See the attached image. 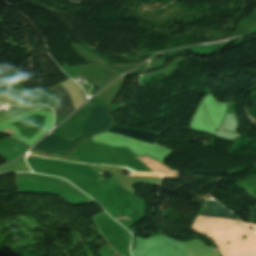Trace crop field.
Segmentation results:
<instances>
[{
    "mask_svg": "<svg viewBox=\"0 0 256 256\" xmlns=\"http://www.w3.org/2000/svg\"><path fill=\"white\" fill-rule=\"evenodd\" d=\"M93 107L94 109H92L81 129L84 133L83 136L68 143L55 135L50 134L34 147L36 149H42L48 154L52 152L65 154V152H68L78 141L91 134L105 130L111 123V119L107 114V105H94Z\"/></svg>",
    "mask_w": 256,
    "mask_h": 256,
    "instance_id": "obj_1",
    "label": "crop field"
},
{
    "mask_svg": "<svg viewBox=\"0 0 256 256\" xmlns=\"http://www.w3.org/2000/svg\"><path fill=\"white\" fill-rule=\"evenodd\" d=\"M60 85L68 91L76 109L85 102L81 88L72 80L64 82ZM60 85L49 89V91L57 94L59 97V102L55 106V113L57 118L75 110L67 91Z\"/></svg>",
    "mask_w": 256,
    "mask_h": 256,
    "instance_id": "obj_2",
    "label": "crop field"
},
{
    "mask_svg": "<svg viewBox=\"0 0 256 256\" xmlns=\"http://www.w3.org/2000/svg\"><path fill=\"white\" fill-rule=\"evenodd\" d=\"M109 132L121 134L124 136H128L130 138L143 140L149 143L154 144L157 138L160 136L159 134L153 132H146L140 130L126 129L114 126Z\"/></svg>",
    "mask_w": 256,
    "mask_h": 256,
    "instance_id": "obj_3",
    "label": "crop field"
},
{
    "mask_svg": "<svg viewBox=\"0 0 256 256\" xmlns=\"http://www.w3.org/2000/svg\"><path fill=\"white\" fill-rule=\"evenodd\" d=\"M203 214H219V215H233L230 211L219 205L215 201L208 200Z\"/></svg>",
    "mask_w": 256,
    "mask_h": 256,
    "instance_id": "obj_4",
    "label": "crop field"
},
{
    "mask_svg": "<svg viewBox=\"0 0 256 256\" xmlns=\"http://www.w3.org/2000/svg\"><path fill=\"white\" fill-rule=\"evenodd\" d=\"M246 193H248L250 196H252L254 199H256V197L252 193H250L249 191H246ZM250 210L253 212L254 216L256 217V207L251 208ZM255 217H254V221H252L250 224L256 225V218Z\"/></svg>",
    "mask_w": 256,
    "mask_h": 256,
    "instance_id": "obj_5",
    "label": "crop field"
},
{
    "mask_svg": "<svg viewBox=\"0 0 256 256\" xmlns=\"http://www.w3.org/2000/svg\"><path fill=\"white\" fill-rule=\"evenodd\" d=\"M0 131L5 132V133H8V134H10V135L14 134V133L10 130L9 127L5 128V129H2V130H0Z\"/></svg>",
    "mask_w": 256,
    "mask_h": 256,
    "instance_id": "obj_6",
    "label": "crop field"
}]
</instances>
